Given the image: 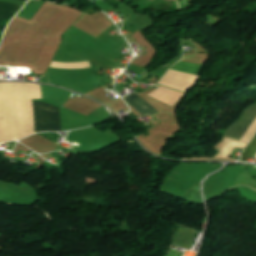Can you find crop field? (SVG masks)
Returning <instances> with one entry per match:
<instances>
[{
  "label": "crop field",
  "instance_id": "8a807250",
  "mask_svg": "<svg viewBox=\"0 0 256 256\" xmlns=\"http://www.w3.org/2000/svg\"><path fill=\"white\" fill-rule=\"evenodd\" d=\"M49 104L43 101H33L36 133L41 131H61L60 108Z\"/></svg>",
  "mask_w": 256,
  "mask_h": 256
},
{
  "label": "crop field",
  "instance_id": "ac0d7876",
  "mask_svg": "<svg viewBox=\"0 0 256 256\" xmlns=\"http://www.w3.org/2000/svg\"><path fill=\"white\" fill-rule=\"evenodd\" d=\"M256 117V104L243 110L239 118L227 129L224 136L240 140Z\"/></svg>",
  "mask_w": 256,
  "mask_h": 256
},
{
  "label": "crop field",
  "instance_id": "34b2d1b8",
  "mask_svg": "<svg viewBox=\"0 0 256 256\" xmlns=\"http://www.w3.org/2000/svg\"><path fill=\"white\" fill-rule=\"evenodd\" d=\"M22 8L7 2H0V31H4L12 17Z\"/></svg>",
  "mask_w": 256,
  "mask_h": 256
},
{
  "label": "crop field",
  "instance_id": "412701ff",
  "mask_svg": "<svg viewBox=\"0 0 256 256\" xmlns=\"http://www.w3.org/2000/svg\"><path fill=\"white\" fill-rule=\"evenodd\" d=\"M130 105H132L138 112H140L143 116L152 115L157 111L153 109L150 105L144 102L141 98H139L135 93L124 98Z\"/></svg>",
  "mask_w": 256,
  "mask_h": 256
},
{
  "label": "crop field",
  "instance_id": "f4fd0767",
  "mask_svg": "<svg viewBox=\"0 0 256 256\" xmlns=\"http://www.w3.org/2000/svg\"><path fill=\"white\" fill-rule=\"evenodd\" d=\"M201 67H202V65L178 61L172 67V69L181 70V71H185V72H190V73H194V74L198 75L199 72H200Z\"/></svg>",
  "mask_w": 256,
  "mask_h": 256
},
{
  "label": "crop field",
  "instance_id": "dd49c442",
  "mask_svg": "<svg viewBox=\"0 0 256 256\" xmlns=\"http://www.w3.org/2000/svg\"><path fill=\"white\" fill-rule=\"evenodd\" d=\"M256 152V136L255 138L249 143L241 161L245 162L247 156L253 157L254 153Z\"/></svg>",
  "mask_w": 256,
  "mask_h": 256
}]
</instances>
